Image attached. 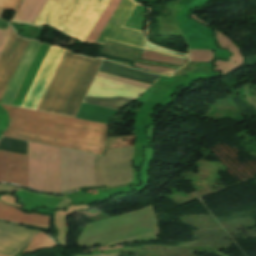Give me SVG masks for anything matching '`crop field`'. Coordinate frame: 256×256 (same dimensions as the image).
<instances>
[{
  "label": "crop field",
  "instance_id": "8a807250",
  "mask_svg": "<svg viewBox=\"0 0 256 256\" xmlns=\"http://www.w3.org/2000/svg\"><path fill=\"white\" fill-rule=\"evenodd\" d=\"M1 105L10 120L2 136L102 154L107 125Z\"/></svg>",
  "mask_w": 256,
  "mask_h": 256
},
{
  "label": "crop field",
  "instance_id": "ac0d7876",
  "mask_svg": "<svg viewBox=\"0 0 256 256\" xmlns=\"http://www.w3.org/2000/svg\"><path fill=\"white\" fill-rule=\"evenodd\" d=\"M0 182L28 187V156L0 151ZM29 187L61 193V148L29 142Z\"/></svg>",
  "mask_w": 256,
  "mask_h": 256
},
{
  "label": "crop field",
  "instance_id": "34b2d1b8",
  "mask_svg": "<svg viewBox=\"0 0 256 256\" xmlns=\"http://www.w3.org/2000/svg\"><path fill=\"white\" fill-rule=\"evenodd\" d=\"M101 61L66 51L37 110L74 117Z\"/></svg>",
  "mask_w": 256,
  "mask_h": 256
},
{
  "label": "crop field",
  "instance_id": "412701ff",
  "mask_svg": "<svg viewBox=\"0 0 256 256\" xmlns=\"http://www.w3.org/2000/svg\"><path fill=\"white\" fill-rule=\"evenodd\" d=\"M109 0H48L36 25H51L85 41Z\"/></svg>",
  "mask_w": 256,
  "mask_h": 256
},
{
  "label": "crop field",
  "instance_id": "f4fd0767",
  "mask_svg": "<svg viewBox=\"0 0 256 256\" xmlns=\"http://www.w3.org/2000/svg\"><path fill=\"white\" fill-rule=\"evenodd\" d=\"M131 1H120L96 43L104 44L105 40L108 39L137 48H143L145 43V38L143 37L144 32L123 27L137 5Z\"/></svg>",
  "mask_w": 256,
  "mask_h": 256
},
{
  "label": "crop field",
  "instance_id": "dd49c442",
  "mask_svg": "<svg viewBox=\"0 0 256 256\" xmlns=\"http://www.w3.org/2000/svg\"><path fill=\"white\" fill-rule=\"evenodd\" d=\"M65 49L51 46L21 107L36 110Z\"/></svg>",
  "mask_w": 256,
  "mask_h": 256
},
{
  "label": "crop field",
  "instance_id": "e52e79f7",
  "mask_svg": "<svg viewBox=\"0 0 256 256\" xmlns=\"http://www.w3.org/2000/svg\"><path fill=\"white\" fill-rule=\"evenodd\" d=\"M30 41L17 36L12 30L0 54V100Z\"/></svg>",
  "mask_w": 256,
  "mask_h": 256
},
{
  "label": "crop field",
  "instance_id": "d8731c3e",
  "mask_svg": "<svg viewBox=\"0 0 256 256\" xmlns=\"http://www.w3.org/2000/svg\"><path fill=\"white\" fill-rule=\"evenodd\" d=\"M37 232L0 222V254L13 256L23 249Z\"/></svg>",
  "mask_w": 256,
  "mask_h": 256
},
{
  "label": "crop field",
  "instance_id": "5a996713",
  "mask_svg": "<svg viewBox=\"0 0 256 256\" xmlns=\"http://www.w3.org/2000/svg\"><path fill=\"white\" fill-rule=\"evenodd\" d=\"M0 219L49 228V217L39 214H24L14 207L0 202Z\"/></svg>",
  "mask_w": 256,
  "mask_h": 256
},
{
  "label": "crop field",
  "instance_id": "3316defc",
  "mask_svg": "<svg viewBox=\"0 0 256 256\" xmlns=\"http://www.w3.org/2000/svg\"><path fill=\"white\" fill-rule=\"evenodd\" d=\"M49 47L50 45L48 44H41L11 105L19 107L21 106Z\"/></svg>",
  "mask_w": 256,
  "mask_h": 256
},
{
  "label": "crop field",
  "instance_id": "28ad6ade",
  "mask_svg": "<svg viewBox=\"0 0 256 256\" xmlns=\"http://www.w3.org/2000/svg\"><path fill=\"white\" fill-rule=\"evenodd\" d=\"M100 72L111 73L147 83H153L157 79V75L148 74L139 70L130 69L109 61L104 60L100 69Z\"/></svg>",
  "mask_w": 256,
  "mask_h": 256
},
{
  "label": "crop field",
  "instance_id": "d1516ede",
  "mask_svg": "<svg viewBox=\"0 0 256 256\" xmlns=\"http://www.w3.org/2000/svg\"><path fill=\"white\" fill-rule=\"evenodd\" d=\"M46 1L47 0H24L12 20L33 24Z\"/></svg>",
  "mask_w": 256,
  "mask_h": 256
},
{
  "label": "crop field",
  "instance_id": "22f410ed",
  "mask_svg": "<svg viewBox=\"0 0 256 256\" xmlns=\"http://www.w3.org/2000/svg\"><path fill=\"white\" fill-rule=\"evenodd\" d=\"M141 51V49L106 40L101 53L137 61Z\"/></svg>",
  "mask_w": 256,
  "mask_h": 256
},
{
  "label": "crop field",
  "instance_id": "cbeb9de0",
  "mask_svg": "<svg viewBox=\"0 0 256 256\" xmlns=\"http://www.w3.org/2000/svg\"><path fill=\"white\" fill-rule=\"evenodd\" d=\"M119 1L120 0H110L109 1L106 8L104 9L101 16L99 17L98 21L96 22L95 26L93 27L90 34L88 35L86 42L95 43L99 34L103 30V28L106 25L107 21L109 20L110 16L112 15L115 8L117 7Z\"/></svg>",
  "mask_w": 256,
  "mask_h": 256
},
{
  "label": "crop field",
  "instance_id": "5142ce71",
  "mask_svg": "<svg viewBox=\"0 0 256 256\" xmlns=\"http://www.w3.org/2000/svg\"><path fill=\"white\" fill-rule=\"evenodd\" d=\"M40 232L33 238L29 246L24 250L21 255L27 252L39 250L41 248H50L56 246V244L48 236Z\"/></svg>",
  "mask_w": 256,
  "mask_h": 256
},
{
  "label": "crop field",
  "instance_id": "d9b57169",
  "mask_svg": "<svg viewBox=\"0 0 256 256\" xmlns=\"http://www.w3.org/2000/svg\"><path fill=\"white\" fill-rule=\"evenodd\" d=\"M21 2L22 0H0V16L4 8L16 11Z\"/></svg>",
  "mask_w": 256,
  "mask_h": 256
},
{
  "label": "crop field",
  "instance_id": "733c2abd",
  "mask_svg": "<svg viewBox=\"0 0 256 256\" xmlns=\"http://www.w3.org/2000/svg\"><path fill=\"white\" fill-rule=\"evenodd\" d=\"M10 31H11V28H10L9 25H8V27H7L5 32L0 30V51H1V49H2V47L4 45V43H5L8 35H9V33H10Z\"/></svg>",
  "mask_w": 256,
  "mask_h": 256
},
{
  "label": "crop field",
  "instance_id": "4a817a6b",
  "mask_svg": "<svg viewBox=\"0 0 256 256\" xmlns=\"http://www.w3.org/2000/svg\"><path fill=\"white\" fill-rule=\"evenodd\" d=\"M6 26H7L6 21L0 19V29L4 31Z\"/></svg>",
  "mask_w": 256,
  "mask_h": 256
},
{
  "label": "crop field",
  "instance_id": "bc2a9ffb",
  "mask_svg": "<svg viewBox=\"0 0 256 256\" xmlns=\"http://www.w3.org/2000/svg\"><path fill=\"white\" fill-rule=\"evenodd\" d=\"M0 256H4V255H0Z\"/></svg>",
  "mask_w": 256,
  "mask_h": 256
}]
</instances>
